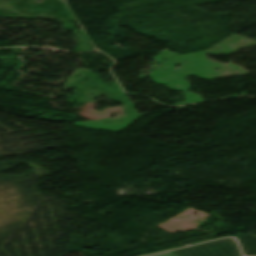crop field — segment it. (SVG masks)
<instances>
[{
    "label": "crop field",
    "mask_w": 256,
    "mask_h": 256,
    "mask_svg": "<svg viewBox=\"0 0 256 256\" xmlns=\"http://www.w3.org/2000/svg\"><path fill=\"white\" fill-rule=\"evenodd\" d=\"M152 256H176L172 251L163 253V254H157V255H152Z\"/></svg>",
    "instance_id": "34b2d1b8"
},
{
    "label": "crop field",
    "mask_w": 256,
    "mask_h": 256,
    "mask_svg": "<svg viewBox=\"0 0 256 256\" xmlns=\"http://www.w3.org/2000/svg\"><path fill=\"white\" fill-rule=\"evenodd\" d=\"M173 252L177 256H241L233 238H225Z\"/></svg>",
    "instance_id": "8a807250"
},
{
    "label": "crop field",
    "mask_w": 256,
    "mask_h": 256,
    "mask_svg": "<svg viewBox=\"0 0 256 256\" xmlns=\"http://www.w3.org/2000/svg\"><path fill=\"white\" fill-rule=\"evenodd\" d=\"M245 256L256 255V236L253 234L237 236Z\"/></svg>",
    "instance_id": "ac0d7876"
}]
</instances>
